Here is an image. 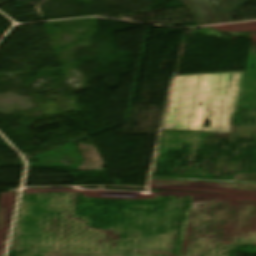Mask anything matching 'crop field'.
I'll list each match as a JSON object with an SVG mask.
<instances>
[{"instance_id":"3","label":"crop field","mask_w":256,"mask_h":256,"mask_svg":"<svg viewBox=\"0 0 256 256\" xmlns=\"http://www.w3.org/2000/svg\"><path fill=\"white\" fill-rule=\"evenodd\" d=\"M210 114H211V111H208L205 118H206V119H209V120L211 121V120H212V117L209 118Z\"/></svg>"},{"instance_id":"2","label":"crop field","mask_w":256,"mask_h":256,"mask_svg":"<svg viewBox=\"0 0 256 256\" xmlns=\"http://www.w3.org/2000/svg\"><path fill=\"white\" fill-rule=\"evenodd\" d=\"M181 1L188 6V8L190 9L191 13L193 14V16H194L195 20L197 21V23L199 24V26L232 22L228 12L232 8H234L236 5H238L240 3V2H236V3L226 7L223 10V18H224V20L203 22L201 17H200V15H199V13L196 10L194 4H193V2H191L189 0H181Z\"/></svg>"},{"instance_id":"1","label":"crop field","mask_w":256,"mask_h":256,"mask_svg":"<svg viewBox=\"0 0 256 256\" xmlns=\"http://www.w3.org/2000/svg\"><path fill=\"white\" fill-rule=\"evenodd\" d=\"M194 2L203 21L218 20L222 18V10L227 5L244 0H191Z\"/></svg>"}]
</instances>
